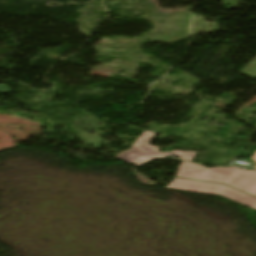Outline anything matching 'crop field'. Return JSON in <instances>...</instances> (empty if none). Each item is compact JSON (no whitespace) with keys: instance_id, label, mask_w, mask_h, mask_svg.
<instances>
[{"instance_id":"3","label":"crop field","mask_w":256,"mask_h":256,"mask_svg":"<svg viewBox=\"0 0 256 256\" xmlns=\"http://www.w3.org/2000/svg\"><path fill=\"white\" fill-rule=\"evenodd\" d=\"M166 188L221 195L256 210V198L227 185L175 178Z\"/></svg>"},{"instance_id":"1","label":"crop field","mask_w":256,"mask_h":256,"mask_svg":"<svg viewBox=\"0 0 256 256\" xmlns=\"http://www.w3.org/2000/svg\"><path fill=\"white\" fill-rule=\"evenodd\" d=\"M175 177L227 184L256 197V171L237 167L206 168L201 165L182 162Z\"/></svg>"},{"instance_id":"4","label":"crop field","mask_w":256,"mask_h":256,"mask_svg":"<svg viewBox=\"0 0 256 256\" xmlns=\"http://www.w3.org/2000/svg\"><path fill=\"white\" fill-rule=\"evenodd\" d=\"M251 159L256 162V152L251 156ZM253 167L256 168V164Z\"/></svg>"},{"instance_id":"2","label":"crop field","mask_w":256,"mask_h":256,"mask_svg":"<svg viewBox=\"0 0 256 256\" xmlns=\"http://www.w3.org/2000/svg\"><path fill=\"white\" fill-rule=\"evenodd\" d=\"M155 134V132L145 131L129 150L114 158L140 166L152 159L169 158L172 155L179 157L178 159L181 160L192 161L196 155V152L192 151L181 152L173 150V152H159L158 147L148 144Z\"/></svg>"}]
</instances>
